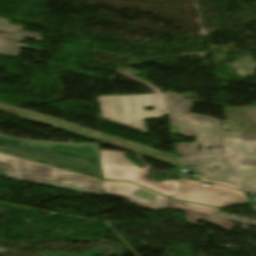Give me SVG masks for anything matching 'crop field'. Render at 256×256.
<instances>
[{"mask_svg":"<svg viewBox=\"0 0 256 256\" xmlns=\"http://www.w3.org/2000/svg\"><path fill=\"white\" fill-rule=\"evenodd\" d=\"M164 93L169 123L178 125L179 134L196 138L195 143L176 145L177 154L184 156L178 164H197L203 181L256 193V136H230L220 129L221 121L190 114L191 101ZM197 143L203 145L201 152ZM216 166L219 170L213 171Z\"/></svg>","mask_w":256,"mask_h":256,"instance_id":"8a807250","label":"crop field"},{"mask_svg":"<svg viewBox=\"0 0 256 256\" xmlns=\"http://www.w3.org/2000/svg\"><path fill=\"white\" fill-rule=\"evenodd\" d=\"M0 151L100 178L102 175L99 145H66L0 136Z\"/></svg>","mask_w":256,"mask_h":256,"instance_id":"ac0d7876","label":"crop field"},{"mask_svg":"<svg viewBox=\"0 0 256 256\" xmlns=\"http://www.w3.org/2000/svg\"><path fill=\"white\" fill-rule=\"evenodd\" d=\"M0 167L7 169L9 177L102 194V180L14 158L1 153Z\"/></svg>","mask_w":256,"mask_h":256,"instance_id":"34b2d1b8","label":"crop field"},{"mask_svg":"<svg viewBox=\"0 0 256 256\" xmlns=\"http://www.w3.org/2000/svg\"><path fill=\"white\" fill-rule=\"evenodd\" d=\"M98 99L102 118L143 132L144 119H160L167 114L163 94L107 96ZM145 107H153L155 113L145 111Z\"/></svg>","mask_w":256,"mask_h":256,"instance_id":"412701ff","label":"crop field"},{"mask_svg":"<svg viewBox=\"0 0 256 256\" xmlns=\"http://www.w3.org/2000/svg\"><path fill=\"white\" fill-rule=\"evenodd\" d=\"M103 175L107 179L128 180L168 197L180 191L179 181L158 182L146 179L148 170L136 167L124 152L101 150Z\"/></svg>","mask_w":256,"mask_h":256,"instance_id":"f4fd0767","label":"crop field"},{"mask_svg":"<svg viewBox=\"0 0 256 256\" xmlns=\"http://www.w3.org/2000/svg\"><path fill=\"white\" fill-rule=\"evenodd\" d=\"M179 179L181 191L172 197L216 207L247 203L243 192L218 186L206 187L200 182Z\"/></svg>","mask_w":256,"mask_h":256,"instance_id":"dd49c442","label":"crop field"},{"mask_svg":"<svg viewBox=\"0 0 256 256\" xmlns=\"http://www.w3.org/2000/svg\"><path fill=\"white\" fill-rule=\"evenodd\" d=\"M142 189L145 193L141 197H137L132 195L134 191ZM103 190H105L106 195L110 196H117L121 198H125L131 202L133 205L154 209V210H162L168 209L165 199L167 197H163L146 189H143L137 185L131 183H122V182H114V181H103ZM111 191V192H109ZM147 192L154 194L156 200L154 202H150L148 200H144V197H151L147 196Z\"/></svg>","mask_w":256,"mask_h":256,"instance_id":"e52e79f7","label":"crop field"},{"mask_svg":"<svg viewBox=\"0 0 256 256\" xmlns=\"http://www.w3.org/2000/svg\"><path fill=\"white\" fill-rule=\"evenodd\" d=\"M166 202L169 209L185 211L187 221L191 225L196 224V222L200 219H203L228 231H230L231 228L235 225L216 213L221 209L209 208L205 206L173 200L170 198L166 199Z\"/></svg>","mask_w":256,"mask_h":256,"instance_id":"d8731c3e","label":"crop field"},{"mask_svg":"<svg viewBox=\"0 0 256 256\" xmlns=\"http://www.w3.org/2000/svg\"><path fill=\"white\" fill-rule=\"evenodd\" d=\"M10 20L0 18V35L9 37L11 39L22 41L25 38L40 41L39 33H25L22 31L23 27L9 25Z\"/></svg>","mask_w":256,"mask_h":256,"instance_id":"5a996713","label":"crop field"},{"mask_svg":"<svg viewBox=\"0 0 256 256\" xmlns=\"http://www.w3.org/2000/svg\"><path fill=\"white\" fill-rule=\"evenodd\" d=\"M20 47L35 50L34 48L20 44L17 41L0 36V55L17 56Z\"/></svg>","mask_w":256,"mask_h":256,"instance_id":"3316defc","label":"crop field"},{"mask_svg":"<svg viewBox=\"0 0 256 256\" xmlns=\"http://www.w3.org/2000/svg\"><path fill=\"white\" fill-rule=\"evenodd\" d=\"M120 70H123V72H120ZM118 74L137 82L138 84L142 85L143 87L147 88L148 90H150L154 93H160L159 90L156 87H154L153 85H151V84H149V83H147V82H145L141 79L133 77L132 75L141 74L137 71H134L130 68H124V69H118Z\"/></svg>","mask_w":256,"mask_h":256,"instance_id":"28ad6ade","label":"crop field"},{"mask_svg":"<svg viewBox=\"0 0 256 256\" xmlns=\"http://www.w3.org/2000/svg\"><path fill=\"white\" fill-rule=\"evenodd\" d=\"M105 249H99V248H94L90 251H88L85 254H80V255H73V254H63V253H52V252H42V255L44 256H94V255H101L103 254Z\"/></svg>","mask_w":256,"mask_h":256,"instance_id":"d1516ede","label":"crop field"},{"mask_svg":"<svg viewBox=\"0 0 256 256\" xmlns=\"http://www.w3.org/2000/svg\"><path fill=\"white\" fill-rule=\"evenodd\" d=\"M251 208H254V209H256V206H251Z\"/></svg>","mask_w":256,"mask_h":256,"instance_id":"22f410ed","label":"crop field"}]
</instances>
